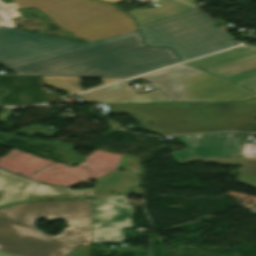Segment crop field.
I'll list each match as a JSON object with an SVG mask.
<instances>
[{"label": "crop field", "instance_id": "crop-field-6", "mask_svg": "<svg viewBox=\"0 0 256 256\" xmlns=\"http://www.w3.org/2000/svg\"><path fill=\"white\" fill-rule=\"evenodd\" d=\"M141 79L162 90L175 102L243 101L256 97L254 92L184 64L128 80L125 83Z\"/></svg>", "mask_w": 256, "mask_h": 256}, {"label": "crop field", "instance_id": "crop-field-9", "mask_svg": "<svg viewBox=\"0 0 256 256\" xmlns=\"http://www.w3.org/2000/svg\"><path fill=\"white\" fill-rule=\"evenodd\" d=\"M86 197H93V189L49 187L0 170V206L26 200Z\"/></svg>", "mask_w": 256, "mask_h": 256}, {"label": "crop field", "instance_id": "crop-field-7", "mask_svg": "<svg viewBox=\"0 0 256 256\" xmlns=\"http://www.w3.org/2000/svg\"><path fill=\"white\" fill-rule=\"evenodd\" d=\"M124 192L141 195L140 182L93 199L92 243L126 240L122 228L133 227L130 221L133 210L127 205Z\"/></svg>", "mask_w": 256, "mask_h": 256}, {"label": "crop field", "instance_id": "crop-field-16", "mask_svg": "<svg viewBox=\"0 0 256 256\" xmlns=\"http://www.w3.org/2000/svg\"><path fill=\"white\" fill-rule=\"evenodd\" d=\"M44 84L51 85L59 90L73 94L81 92L79 84L81 83L79 78L89 77H56V76H41ZM118 78H103V85L111 82L119 81Z\"/></svg>", "mask_w": 256, "mask_h": 256}, {"label": "crop field", "instance_id": "crop-field-20", "mask_svg": "<svg viewBox=\"0 0 256 256\" xmlns=\"http://www.w3.org/2000/svg\"><path fill=\"white\" fill-rule=\"evenodd\" d=\"M182 1H185V2L191 3V2H194V1H197V0H182Z\"/></svg>", "mask_w": 256, "mask_h": 256}, {"label": "crop field", "instance_id": "crop-field-17", "mask_svg": "<svg viewBox=\"0 0 256 256\" xmlns=\"http://www.w3.org/2000/svg\"><path fill=\"white\" fill-rule=\"evenodd\" d=\"M241 155L247 158H255L256 159V144H245Z\"/></svg>", "mask_w": 256, "mask_h": 256}, {"label": "crop field", "instance_id": "crop-field-2", "mask_svg": "<svg viewBox=\"0 0 256 256\" xmlns=\"http://www.w3.org/2000/svg\"><path fill=\"white\" fill-rule=\"evenodd\" d=\"M37 218L65 219L58 236L37 230ZM92 199L21 203L0 210V252L17 256H63L80 244L91 246Z\"/></svg>", "mask_w": 256, "mask_h": 256}, {"label": "crop field", "instance_id": "crop-field-23", "mask_svg": "<svg viewBox=\"0 0 256 256\" xmlns=\"http://www.w3.org/2000/svg\"><path fill=\"white\" fill-rule=\"evenodd\" d=\"M255 92V91H254Z\"/></svg>", "mask_w": 256, "mask_h": 256}, {"label": "crop field", "instance_id": "crop-field-8", "mask_svg": "<svg viewBox=\"0 0 256 256\" xmlns=\"http://www.w3.org/2000/svg\"><path fill=\"white\" fill-rule=\"evenodd\" d=\"M185 64L204 69L222 77L256 68V47L227 50ZM256 90V69L226 78Z\"/></svg>", "mask_w": 256, "mask_h": 256}, {"label": "crop field", "instance_id": "crop-field-14", "mask_svg": "<svg viewBox=\"0 0 256 256\" xmlns=\"http://www.w3.org/2000/svg\"><path fill=\"white\" fill-rule=\"evenodd\" d=\"M138 178L139 175L131 176L128 171L119 173L113 170L94 180V197L114 191L125 184L136 183Z\"/></svg>", "mask_w": 256, "mask_h": 256}, {"label": "crop field", "instance_id": "crop-field-10", "mask_svg": "<svg viewBox=\"0 0 256 256\" xmlns=\"http://www.w3.org/2000/svg\"><path fill=\"white\" fill-rule=\"evenodd\" d=\"M235 132L175 136L187 148L171 155L179 162L194 157H239L244 144Z\"/></svg>", "mask_w": 256, "mask_h": 256}, {"label": "crop field", "instance_id": "crop-field-19", "mask_svg": "<svg viewBox=\"0 0 256 256\" xmlns=\"http://www.w3.org/2000/svg\"><path fill=\"white\" fill-rule=\"evenodd\" d=\"M156 8H157V7H156ZM156 8H153V9H145V10H141V11H143L144 13H146V12H149V11L155 10ZM135 11H139V9L134 10V11H131V12H135ZM131 12H128V13H131Z\"/></svg>", "mask_w": 256, "mask_h": 256}, {"label": "crop field", "instance_id": "crop-field-12", "mask_svg": "<svg viewBox=\"0 0 256 256\" xmlns=\"http://www.w3.org/2000/svg\"><path fill=\"white\" fill-rule=\"evenodd\" d=\"M10 137L16 138L14 133H2V132H0V143H2L3 141H5L6 139H8ZM16 139L26 141V142H30L32 144L51 149L53 151L51 152L50 155H48L46 153H43L41 151L39 152V155L46 156V157H49V158H52V159H56V160L65 162V163L70 164V165L81 163L84 159V157L79 156V155H77L76 153H74L72 151L75 147L74 145H69V144H64V143H59V142H54V141L45 142V141H41V140L34 139V138H30V139L16 138ZM13 147H15V146H13ZM32 153H34V152H32Z\"/></svg>", "mask_w": 256, "mask_h": 256}, {"label": "crop field", "instance_id": "crop-field-1", "mask_svg": "<svg viewBox=\"0 0 256 256\" xmlns=\"http://www.w3.org/2000/svg\"><path fill=\"white\" fill-rule=\"evenodd\" d=\"M177 62L138 30L82 44L0 26V64L19 75L129 78Z\"/></svg>", "mask_w": 256, "mask_h": 256}, {"label": "crop field", "instance_id": "crop-field-18", "mask_svg": "<svg viewBox=\"0 0 256 256\" xmlns=\"http://www.w3.org/2000/svg\"><path fill=\"white\" fill-rule=\"evenodd\" d=\"M80 248H85L81 250ZM64 256H90V247L80 245Z\"/></svg>", "mask_w": 256, "mask_h": 256}, {"label": "crop field", "instance_id": "crop-field-13", "mask_svg": "<svg viewBox=\"0 0 256 256\" xmlns=\"http://www.w3.org/2000/svg\"><path fill=\"white\" fill-rule=\"evenodd\" d=\"M156 6H159L160 10H155L149 13H142L141 11L131 13L135 18H137L139 25L148 23L154 20H158L164 17H168L174 14L185 12L191 9H195L193 6L186 3L178 2L176 0H155L151 1Z\"/></svg>", "mask_w": 256, "mask_h": 256}, {"label": "crop field", "instance_id": "crop-field-21", "mask_svg": "<svg viewBox=\"0 0 256 256\" xmlns=\"http://www.w3.org/2000/svg\"><path fill=\"white\" fill-rule=\"evenodd\" d=\"M105 1H109V2L115 3V2H118L120 0H105Z\"/></svg>", "mask_w": 256, "mask_h": 256}, {"label": "crop field", "instance_id": "crop-field-5", "mask_svg": "<svg viewBox=\"0 0 256 256\" xmlns=\"http://www.w3.org/2000/svg\"><path fill=\"white\" fill-rule=\"evenodd\" d=\"M140 28L147 44L171 46L183 61L233 46L232 38L197 9Z\"/></svg>", "mask_w": 256, "mask_h": 256}, {"label": "crop field", "instance_id": "crop-field-22", "mask_svg": "<svg viewBox=\"0 0 256 256\" xmlns=\"http://www.w3.org/2000/svg\"><path fill=\"white\" fill-rule=\"evenodd\" d=\"M0 256H8V255L0 254Z\"/></svg>", "mask_w": 256, "mask_h": 256}, {"label": "crop field", "instance_id": "crop-field-4", "mask_svg": "<svg viewBox=\"0 0 256 256\" xmlns=\"http://www.w3.org/2000/svg\"><path fill=\"white\" fill-rule=\"evenodd\" d=\"M0 0V24L13 27L9 19L20 14L14 9L33 7L47 14L59 27L76 38L89 41L137 30L132 17L118 8L96 0Z\"/></svg>", "mask_w": 256, "mask_h": 256}, {"label": "crop field", "instance_id": "crop-field-15", "mask_svg": "<svg viewBox=\"0 0 256 256\" xmlns=\"http://www.w3.org/2000/svg\"><path fill=\"white\" fill-rule=\"evenodd\" d=\"M195 160H201V161H207V162L242 164L244 168L240 171V175L237 181L256 187V160L237 159V158L213 159V160L192 159V160H186L180 164L195 161Z\"/></svg>", "mask_w": 256, "mask_h": 256}, {"label": "crop field", "instance_id": "crop-field-3", "mask_svg": "<svg viewBox=\"0 0 256 256\" xmlns=\"http://www.w3.org/2000/svg\"><path fill=\"white\" fill-rule=\"evenodd\" d=\"M110 106L112 114L128 113L142 127L163 135L237 130L243 124H256V98L243 102Z\"/></svg>", "mask_w": 256, "mask_h": 256}, {"label": "crop field", "instance_id": "crop-field-11", "mask_svg": "<svg viewBox=\"0 0 256 256\" xmlns=\"http://www.w3.org/2000/svg\"><path fill=\"white\" fill-rule=\"evenodd\" d=\"M86 103H156L174 102L159 89L137 94L122 82L78 95Z\"/></svg>", "mask_w": 256, "mask_h": 256}]
</instances>
